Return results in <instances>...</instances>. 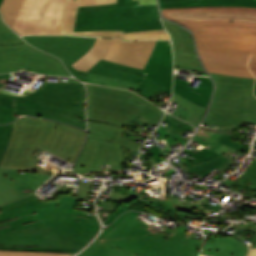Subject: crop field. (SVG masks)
Here are the masks:
<instances>
[{
    "label": "crop field",
    "mask_w": 256,
    "mask_h": 256,
    "mask_svg": "<svg viewBox=\"0 0 256 256\" xmlns=\"http://www.w3.org/2000/svg\"><path fill=\"white\" fill-rule=\"evenodd\" d=\"M163 16L189 28L208 72L256 77V8L163 9Z\"/></svg>",
    "instance_id": "crop-field-1"
},
{
    "label": "crop field",
    "mask_w": 256,
    "mask_h": 256,
    "mask_svg": "<svg viewBox=\"0 0 256 256\" xmlns=\"http://www.w3.org/2000/svg\"><path fill=\"white\" fill-rule=\"evenodd\" d=\"M76 196L60 195L37 213L0 224V245L83 248L99 231L96 217L74 209ZM47 235V237H45Z\"/></svg>",
    "instance_id": "crop-field-2"
},
{
    "label": "crop field",
    "mask_w": 256,
    "mask_h": 256,
    "mask_svg": "<svg viewBox=\"0 0 256 256\" xmlns=\"http://www.w3.org/2000/svg\"><path fill=\"white\" fill-rule=\"evenodd\" d=\"M86 132L43 119L21 117L14 122L10 144L0 168L53 175L60 169L31 154L35 146L74 162Z\"/></svg>",
    "instance_id": "crop-field-3"
},
{
    "label": "crop field",
    "mask_w": 256,
    "mask_h": 256,
    "mask_svg": "<svg viewBox=\"0 0 256 256\" xmlns=\"http://www.w3.org/2000/svg\"><path fill=\"white\" fill-rule=\"evenodd\" d=\"M139 214L130 211L101 241L94 240L78 256L199 255L203 239L185 237L188 228L179 226L169 237L136 219Z\"/></svg>",
    "instance_id": "crop-field-4"
},
{
    "label": "crop field",
    "mask_w": 256,
    "mask_h": 256,
    "mask_svg": "<svg viewBox=\"0 0 256 256\" xmlns=\"http://www.w3.org/2000/svg\"><path fill=\"white\" fill-rule=\"evenodd\" d=\"M85 99L82 84L45 82L38 91L17 96L14 113L59 120L86 129Z\"/></svg>",
    "instance_id": "crop-field-5"
},
{
    "label": "crop field",
    "mask_w": 256,
    "mask_h": 256,
    "mask_svg": "<svg viewBox=\"0 0 256 256\" xmlns=\"http://www.w3.org/2000/svg\"><path fill=\"white\" fill-rule=\"evenodd\" d=\"M164 29L156 5L118 0V4L79 7L74 31Z\"/></svg>",
    "instance_id": "crop-field-6"
},
{
    "label": "crop field",
    "mask_w": 256,
    "mask_h": 256,
    "mask_svg": "<svg viewBox=\"0 0 256 256\" xmlns=\"http://www.w3.org/2000/svg\"><path fill=\"white\" fill-rule=\"evenodd\" d=\"M88 88V120L124 126L140 115L158 125L160 109L127 90L86 84Z\"/></svg>",
    "instance_id": "crop-field-7"
},
{
    "label": "crop field",
    "mask_w": 256,
    "mask_h": 256,
    "mask_svg": "<svg viewBox=\"0 0 256 256\" xmlns=\"http://www.w3.org/2000/svg\"><path fill=\"white\" fill-rule=\"evenodd\" d=\"M88 125L89 137L73 167L78 174L102 172L101 165L107 164H112V171H122L121 163H125L121 148L123 145L131 153H138L141 145L120 136L124 130L135 136L137 134L118 126L97 122L88 121Z\"/></svg>",
    "instance_id": "crop-field-8"
},
{
    "label": "crop field",
    "mask_w": 256,
    "mask_h": 256,
    "mask_svg": "<svg viewBox=\"0 0 256 256\" xmlns=\"http://www.w3.org/2000/svg\"><path fill=\"white\" fill-rule=\"evenodd\" d=\"M215 93L205 123L225 126L242 121L245 111L256 116L255 79L212 74Z\"/></svg>",
    "instance_id": "crop-field-9"
},
{
    "label": "crop field",
    "mask_w": 256,
    "mask_h": 256,
    "mask_svg": "<svg viewBox=\"0 0 256 256\" xmlns=\"http://www.w3.org/2000/svg\"><path fill=\"white\" fill-rule=\"evenodd\" d=\"M21 39L0 18V73L26 69L70 76L59 59L34 49Z\"/></svg>",
    "instance_id": "crop-field-10"
},
{
    "label": "crop field",
    "mask_w": 256,
    "mask_h": 256,
    "mask_svg": "<svg viewBox=\"0 0 256 256\" xmlns=\"http://www.w3.org/2000/svg\"><path fill=\"white\" fill-rule=\"evenodd\" d=\"M37 1L3 0L0 13L20 35L60 34L61 12L66 0H49L41 19H30Z\"/></svg>",
    "instance_id": "crop-field-11"
},
{
    "label": "crop field",
    "mask_w": 256,
    "mask_h": 256,
    "mask_svg": "<svg viewBox=\"0 0 256 256\" xmlns=\"http://www.w3.org/2000/svg\"><path fill=\"white\" fill-rule=\"evenodd\" d=\"M155 42H123L120 39L97 38L93 47L71 65L76 69L87 71L103 58L143 69Z\"/></svg>",
    "instance_id": "crop-field-12"
},
{
    "label": "crop field",
    "mask_w": 256,
    "mask_h": 256,
    "mask_svg": "<svg viewBox=\"0 0 256 256\" xmlns=\"http://www.w3.org/2000/svg\"><path fill=\"white\" fill-rule=\"evenodd\" d=\"M67 68L75 77L84 82L86 81L88 72H91L140 83L135 92L149 100L162 91L171 95L170 88L155 81L144 78L145 75L143 72H141L142 69L122 65L119 63L101 59L87 72L76 70L71 65Z\"/></svg>",
    "instance_id": "crop-field-13"
},
{
    "label": "crop field",
    "mask_w": 256,
    "mask_h": 256,
    "mask_svg": "<svg viewBox=\"0 0 256 256\" xmlns=\"http://www.w3.org/2000/svg\"><path fill=\"white\" fill-rule=\"evenodd\" d=\"M117 3V0H67L63 13L61 34L83 35V36H105L121 37L124 40H146L162 39L161 33H167L165 30L139 31L123 33V31H91V32H73L75 16L78 6L100 5Z\"/></svg>",
    "instance_id": "crop-field-14"
},
{
    "label": "crop field",
    "mask_w": 256,
    "mask_h": 256,
    "mask_svg": "<svg viewBox=\"0 0 256 256\" xmlns=\"http://www.w3.org/2000/svg\"><path fill=\"white\" fill-rule=\"evenodd\" d=\"M33 46L58 56L67 67L93 45L96 38L73 36H26Z\"/></svg>",
    "instance_id": "crop-field-15"
},
{
    "label": "crop field",
    "mask_w": 256,
    "mask_h": 256,
    "mask_svg": "<svg viewBox=\"0 0 256 256\" xmlns=\"http://www.w3.org/2000/svg\"><path fill=\"white\" fill-rule=\"evenodd\" d=\"M0 169V206L33 193L50 176Z\"/></svg>",
    "instance_id": "crop-field-16"
},
{
    "label": "crop field",
    "mask_w": 256,
    "mask_h": 256,
    "mask_svg": "<svg viewBox=\"0 0 256 256\" xmlns=\"http://www.w3.org/2000/svg\"><path fill=\"white\" fill-rule=\"evenodd\" d=\"M163 23L173 42L174 65L205 72L198 62L189 32L170 22L163 20Z\"/></svg>",
    "instance_id": "crop-field-17"
},
{
    "label": "crop field",
    "mask_w": 256,
    "mask_h": 256,
    "mask_svg": "<svg viewBox=\"0 0 256 256\" xmlns=\"http://www.w3.org/2000/svg\"><path fill=\"white\" fill-rule=\"evenodd\" d=\"M167 41H157L152 55L143 70L148 73L146 78L156 80L171 88L172 83V52Z\"/></svg>",
    "instance_id": "crop-field-18"
},
{
    "label": "crop field",
    "mask_w": 256,
    "mask_h": 256,
    "mask_svg": "<svg viewBox=\"0 0 256 256\" xmlns=\"http://www.w3.org/2000/svg\"><path fill=\"white\" fill-rule=\"evenodd\" d=\"M196 79L201 80L197 88L186 87L190 84L186 81L175 79L174 91L207 108L213 88L212 81L207 77H198Z\"/></svg>",
    "instance_id": "crop-field-19"
},
{
    "label": "crop field",
    "mask_w": 256,
    "mask_h": 256,
    "mask_svg": "<svg viewBox=\"0 0 256 256\" xmlns=\"http://www.w3.org/2000/svg\"><path fill=\"white\" fill-rule=\"evenodd\" d=\"M223 242V244H221ZM248 247L232 237H219L215 242L206 243L202 254L213 256H245Z\"/></svg>",
    "instance_id": "crop-field-20"
},
{
    "label": "crop field",
    "mask_w": 256,
    "mask_h": 256,
    "mask_svg": "<svg viewBox=\"0 0 256 256\" xmlns=\"http://www.w3.org/2000/svg\"><path fill=\"white\" fill-rule=\"evenodd\" d=\"M163 8L196 7V6H237L256 7L254 0H159Z\"/></svg>",
    "instance_id": "crop-field-21"
},
{
    "label": "crop field",
    "mask_w": 256,
    "mask_h": 256,
    "mask_svg": "<svg viewBox=\"0 0 256 256\" xmlns=\"http://www.w3.org/2000/svg\"><path fill=\"white\" fill-rule=\"evenodd\" d=\"M45 206L34 194L0 207V221L24 214L35 213L36 208Z\"/></svg>",
    "instance_id": "crop-field-22"
},
{
    "label": "crop field",
    "mask_w": 256,
    "mask_h": 256,
    "mask_svg": "<svg viewBox=\"0 0 256 256\" xmlns=\"http://www.w3.org/2000/svg\"><path fill=\"white\" fill-rule=\"evenodd\" d=\"M3 88H0V124L10 123L17 118L12 116L15 110L16 96L1 93Z\"/></svg>",
    "instance_id": "crop-field-23"
},
{
    "label": "crop field",
    "mask_w": 256,
    "mask_h": 256,
    "mask_svg": "<svg viewBox=\"0 0 256 256\" xmlns=\"http://www.w3.org/2000/svg\"><path fill=\"white\" fill-rule=\"evenodd\" d=\"M232 160L221 156L219 158L216 159H212L209 161H206L204 163H200V164H196L191 166L190 164H186L190 169L186 170L189 173L195 171L200 177H204L205 175H207L210 171H212L213 169L219 167V168H223L225 165H227L229 162H231Z\"/></svg>",
    "instance_id": "crop-field-24"
},
{
    "label": "crop field",
    "mask_w": 256,
    "mask_h": 256,
    "mask_svg": "<svg viewBox=\"0 0 256 256\" xmlns=\"http://www.w3.org/2000/svg\"><path fill=\"white\" fill-rule=\"evenodd\" d=\"M173 101L177 102L178 104H180L182 107L194 112L195 114L188 120V122H190L191 124H193L195 127H197L203 117V114L205 112V108L200 107L188 100H186L185 98H183L182 96H180L179 94H177L176 92H174V96H173Z\"/></svg>",
    "instance_id": "crop-field-25"
},
{
    "label": "crop field",
    "mask_w": 256,
    "mask_h": 256,
    "mask_svg": "<svg viewBox=\"0 0 256 256\" xmlns=\"http://www.w3.org/2000/svg\"><path fill=\"white\" fill-rule=\"evenodd\" d=\"M86 82L127 88V89H132V90H134L138 85L137 83L123 81V80L114 79V78H109V77L100 76V75H95V74H91V73L88 74V78H87Z\"/></svg>",
    "instance_id": "crop-field-26"
},
{
    "label": "crop field",
    "mask_w": 256,
    "mask_h": 256,
    "mask_svg": "<svg viewBox=\"0 0 256 256\" xmlns=\"http://www.w3.org/2000/svg\"><path fill=\"white\" fill-rule=\"evenodd\" d=\"M131 209L141 211V212L151 213L159 218L161 216L168 217V218L171 217V216L167 215L166 213L162 212L161 210H159L158 208L152 206L147 201H144L141 199L135 198L132 201H130L129 203H127V210H131ZM171 218H173V217H171Z\"/></svg>",
    "instance_id": "crop-field-27"
},
{
    "label": "crop field",
    "mask_w": 256,
    "mask_h": 256,
    "mask_svg": "<svg viewBox=\"0 0 256 256\" xmlns=\"http://www.w3.org/2000/svg\"><path fill=\"white\" fill-rule=\"evenodd\" d=\"M152 204L156 205L163 211L167 212L168 214L174 216L180 221L188 223L190 220L185 219L184 217L178 215L180 211H184L186 207L179 206L176 203L172 201V199H164V200H158V201H151Z\"/></svg>",
    "instance_id": "crop-field-28"
},
{
    "label": "crop field",
    "mask_w": 256,
    "mask_h": 256,
    "mask_svg": "<svg viewBox=\"0 0 256 256\" xmlns=\"http://www.w3.org/2000/svg\"><path fill=\"white\" fill-rule=\"evenodd\" d=\"M12 127L13 123L10 125L0 126V163L10 141Z\"/></svg>",
    "instance_id": "crop-field-29"
},
{
    "label": "crop field",
    "mask_w": 256,
    "mask_h": 256,
    "mask_svg": "<svg viewBox=\"0 0 256 256\" xmlns=\"http://www.w3.org/2000/svg\"><path fill=\"white\" fill-rule=\"evenodd\" d=\"M73 254L28 252V251H0V256H71Z\"/></svg>",
    "instance_id": "crop-field-30"
},
{
    "label": "crop field",
    "mask_w": 256,
    "mask_h": 256,
    "mask_svg": "<svg viewBox=\"0 0 256 256\" xmlns=\"http://www.w3.org/2000/svg\"><path fill=\"white\" fill-rule=\"evenodd\" d=\"M164 121H166L169 125H171L173 128L169 129V131L174 134L183 130H187V129H192L193 127H191L189 124L178 120L168 114L165 115Z\"/></svg>",
    "instance_id": "crop-field-31"
},
{
    "label": "crop field",
    "mask_w": 256,
    "mask_h": 256,
    "mask_svg": "<svg viewBox=\"0 0 256 256\" xmlns=\"http://www.w3.org/2000/svg\"><path fill=\"white\" fill-rule=\"evenodd\" d=\"M0 249H16V250H39V251H67V252H77L80 249L73 248H54V247H3Z\"/></svg>",
    "instance_id": "crop-field-32"
},
{
    "label": "crop field",
    "mask_w": 256,
    "mask_h": 256,
    "mask_svg": "<svg viewBox=\"0 0 256 256\" xmlns=\"http://www.w3.org/2000/svg\"><path fill=\"white\" fill-rule=\"evenodd\" d=\"M183 152L193 156L194 158L200 160V161H205V160H208V159H212V158H216V157H219L220 155L204 148L202 150H200L199 152H197L196 154L191 152L190 150L188 149H185Z\"/></svg>",
    "instance_id": "crop-field-33"
},
{
    "label": "crop field",
    "mask_w": 256,
    "mask_h": 256,
    "mask_svg": "<svg viewBox=\"0 0 256 256\" xmlns=\"http://www.w3.org/2000/svg\"><path fill=\"white\" fill-rule=\"evenodd\" d=\"M231 228H235V230L240 233V238L245 240L246 238L253 240L256 236V229H253L252 227H244V226H238L234 225L233 227H229L226 230H229ZM225 230V231H226Z\"/></svg>",
    "instance_id": "crop-field-34"
},
{
    "label": "crop field",
    "mask_w": 256,
    "mask_h": 256,
    "mask_svg": "<svg viewBox=\"0 0 256 256\" xmlns=\"http://www.w3.org/2000/svg\"><path fill=\"white\" fill-rule=\"evenodd\" d=\"M159 132V134L162 136V138L164 140H166L168 143L178 139L181 144L184 146L187 142H185L181 137L180 135L177 133V134H174L172 135L162 124L161 126L158 128L157 130Z\"/></svg>",
    "instance_id": "crop-field-35"
},
{
    "label": "crop field",
    "mask_w": 256,
    "mask_h": 256,
    "mask_svg": "<svg viewBox=\"0 0 256 256\" xmlns=\"http://www.w3.org/2000/svg\"><path fill=\"white\" fill-rule=\"evenodd\" d=\"M231 137H232V136L223 135V136L219 139V141H221V142H223V143H225V144L231 146L232 148H234V149H236V150L249 153V147H250L249 145H245V144H241V143H237V142H232V141H230ZM219 141H218V142H219ZM221 142H220V143H221ZM223 143H222V144H223ZM225 144H224V145H225ZM227 145H226V146H227ZM229 146H228V147H229Z\"/></svg>",
    "instance_id": "crop-field-36"
},
{
    "label": "crop field",
    "mask_w": 256,
    "mask_h": 256,
    "mask_svg": "<svg viewBox=\"0 0 256 256\" xmlns=\"http://www.w3.org/2000/svg\"><path fill=\"white\" fill-rule=\"evenodd\" d=\"M93 183L90 182H81V186L79 189V193L77 195V201L78 200H85Z\"/></svg>",
    "instance_id": "crop-field-37"
},
{
    "label": "crop field",
    "mask_w": 256,
    "mask_h": 256,
    "mask_svg": "<svg viewBox=\"0 0 256 256\" xmlns=\"http://www.w3.org/2000/svg\"><path fill=\"white\" fill-rule=\"evenodd\" d=\"M241 177L250 179L252 180L251 183L256 184V159H254L252 165L246 170V172Z\"/></svg>",
    "instance_id": "crop-field-38"
},
{
    "label": "crop field",
    "mask_w": 256,
    "mask_h": 256,
    "mask_svg": "<svg viewBox=\"0 0 256 256\" xmlns=\"http://www.w3.org/2000/svg\"><path fill=\"white\" fill-rule=\"evenodd\" d=\"M196 134V133H195ZM198 136L204 138L205 140H207L208 142H212L214 141L215 139H219L222 134H218V133H211V132H206V131H203L201 129L198 130L197 134ZM216 140V141H217Z\"/></svg>",
    "instance_id": "crop-field-39"
},
{
    "label": "crop field",
    "mask_w": 256,
    "mask_h": 256,
    "mask_svg": "<svg viewBox=\"0 0 256 256\" xmlns=\"http://www.w3.org/2000/svg\"><path fill=\"white\" fill-rule=\"evenodd\" d=\"M172 115L187 121L193 115V113L179 107Z\"/></svg>",
    "instance_id": "crop-field-40"
},
{
    "label": "crop field",
    "mask_w": 256,
    "mask_h": 256,
    "mask_svg": "<svg viewBox=\"0 0 256 256\" xmlns=\"http://www.w3.org/2000/svg\"><path fill=\"white\" fill-rule=\"evenodd\" d=\"M48 0H39L31 18L39 19Z\"/></svg>",
    "instance_id": "crop-field-41"
},
{
    "label": "crop field",
    "mask_w": 256,
    "mask_h": 256,
    "mask_svg": "<svg viewBox=\"0 0 256 256\" xmlns=\"http://www.w3.org/2000/svg\"><path fill=\"white\" fill-rule=\"evenodd\" d=\"M126 211V204H121L117 210L112 214V216L104 223V225H108L113 222V220L119 216L122 212Z\"/></svg>",
    "instance_id": "crop-field-42"
},
{
    "label": "crop field",
    "mask_w": 256,
    "mask_h": 256,
    "mask_svg": "<svg viewBox=\"0 0 256 256\" xmlns=\"http://www.w3.org/2000/svg\"><path fill=\"white\" fill-rule=\"evenodd\" d=\"M150 152H151L153 159L156 160L157 162L164 160L163 154H162L159 146L150 148Z\"/></svg>",
    "instance_id": "crop-field-43"
},
{
    "label": "crop field",
    "mask_w": 256,
    "mask_h": 256,
    "mask_svg": "<svg viewBox=\"0 0 256 256\" xmlns=\"http://www.w3.org/2000/svg\"><path fill=\"white\" fill-rule=\"evenodd\" d=\"M127 213H128V212L122 214V215L120 216V218H119L117 221H115L113 224H111L110 227L107 228V229L98 237V239H101V238H102L103 236H105L111 229H113L116 225H118V223L121 222V219H123L124 216H125Z\"/></svg>",
    "instance_id": "crop-field-44"
},
{
    "label": "crop field",
    "mask_w": 256,
    "mask_h": 256,
    "mask_svg": "<svg viewBox=\"0 0 256 256\" xmlns=\"http://www.w3.org/2000/svg\"><path fill=\"white\" fill-rule=\"evenodd\" d=\"M102 206H103V210H106L108 212H114L116 210V208L118 207V205H114V204H111V203H108V202H104L102 203Z\"/></svg>",
    "instance_id": "crop-field-45"
},
{
    "label": "crop field",
    "mask_w": 256,
    "mask_h": 256,
    "mask_svg": "<svg viewBox=\"0 0 256 256\" xmlns=\"http://www.w3.org/2000/svg\"><path fill=\"white\" fill-rule=\"evenodd\" d=\"M251 191H254V194ZM244 195L256 198V185L250 184Z\"/></svg>",
    "instance_id": "crop-field-46"
},
{
    "label": "crop field",
    "mask_w": 256,
    "mask_h": 256,
    "mask_svg": "<svg viewBox=\"0 0 256 256\" xmlns=\"http://www.w3.org/2000/svg\"><path fill=\"white\" fill-rule=\"evenodd\" d=\"M10 74H0V87H3L6 85V83L9 81Z\"/></svg>",
    "instance_id": "crop-field-47"
},
{
    "label": "crop field",
    "mask_w": 256,
    "mask_h": 256,
    "mask_svg": "<svg viewBox=\"0 0 256 256\" xmlns=\"http://www.w3.org/2000/svg\"><path fill=\"white\" fill-rule=\"evenodd\" d=\"M242 122H246V123H255L256 124V117L248 114V113H245V116L243 118V121Z\"/></svg>",
    "instance_id": "crop-field-48"
},
{
    "label": "crop field",
    "mask_w": 256,
    "mask_h": 256,
    "mask_svg": "<svg viewBox=\"0 0 256 256\" xmlns=\"http://www.w3.org/2000/svg\"><path fill=\"white\" fill-rule=\"evenodd\" d=\"M59 83H62V82H59ZM69 83H79V82H77V81H76L75 79H73V78H70ZM43 84H44V82H43L37 89H39ZM37 89H35V90H37ZM27 90H28L30 93L33 92V91L29 90V89H27ZM27 90H25V91H27ZM35 90H34V91H35ZM25 91H23L21 95H24V92H25ZM3 92H4V93L11 94V93H9V91H7V90H3ZM10 92H11V91H10ZM12 95H15V94H12Z\"/></svg>",
    "instance_id": "crop-field-49"
},
{
    "label": "crop field",
    "mask_w": 256,
    "mask_h": 256,
    "mask_svg": "<svg viewBox=\"0 0 256 256\" xmlns=\"http://www.w3.org/2000/svg\"><path fill=\"white\" fill-rule=\"evenodd\" d=\"M138 195V192L134 191L133 194L128 193L127 196L125 197V199L123 200L124 203L129 202L130 200H132L133 198H135Z\"/></svg>",
    "instance_id": "crop-field-50"
},
{
    "label": "crop field",
    "mask_w": 256,
    "mask_h": 256,
    "mask_svg": "<svg viewBox=\"0 0 256 256\" xmlns=\"http://www.w3.org/2000/svg\"><path fill=\"white\" fill-rule=\"evenodd\" d=\"M139 4H156L155 0H139Z\"/></svg>",
    "instance_id": "crop-field-51"
},
{
    "label": "crop field",
    "mask_w": 256,
    "mask_h": 256,
    "mask_svg": "<svg viewBox=\"0 0 256 256\" xmlns=\"http://www.w3.org/2000/svg\"><path fill=\"white\" fill-rule=\"evenodd\" d=\"M117 187H118V188H121L120 190L117 191L118 193H121V194H124V195L127 194V190H126L127 187H125V186H119V185H117Z\"/></svg>",
    "instance_id": "crop-field-52"
},
{
    "label": "crop field",
    "mask_w": 256,
    "mask_h": 256,
    "mask_svg": "<svg viewBox=\"0 0 256 256\" xmlns=\"http://www.w3.org/2000/svg\"><path fill=\"white\" fill-rule=\"evenodd\" d=\"M248 256H256V248H251Z\"/></svg>",
    "instance_id": "crop-field-53"
},
{
    "label": "crop field",
    "mask_w": 256,
    "mask_h": 256,
    "mask_svg": "<svg viewBox=\"0 0 256 256\" xmlns=\"http://www.w3.org/2000/svg\"><path fill=\"white\" fill-rule=\"evenodd\" d=\"M113 196H116V197L122 198V199L124 198V195H121V194H118V193H114Z\"/></svg>",
    "instance_id": "crop-field-54"
},
{
    "label": "crop field",
    "mask_w": 256,
    "mask_h": 256,
    "mask_svg": "<svg viewBox=\"0 0 256 256\" xmlns=\"http://www.w3.org/2000/svg\"><path fill=\"white\" fill-rule=\"evenodd\" d=\"M251 247H256V238L253 240Z\"/></svg>",
    "instance_id": "crop-field-55"
},
{
    "label": "crop field",
    "mask_w": 256,
    "mask_h": 256,
    "mask_svg": "<svg viewBox=\"0 0 256 256\" xmlns=\"http://www.w3.org/2000/svg\"><path fill=\"white\" fill-rule=\"evenodd\" d=\"M254 94L256 96V81H255V86H254Z\"/></svg>",
    "instance_id": "crop-field-56"
},
{
    "label": "crop field",
    "mask_w": 256,
    "mask_h": 256,
    "mask_svg": "<svg viewBox=\"0 0 256 256\" xmlns=\"http://www.w3.org/2000/svg\"><path fill=\"white\" fill-rule=\"evenodd\" d=\"M2 0H0V3H1Z\"/></svg>",
    "instance_id": "crop-field-57"
}]
</instances>
